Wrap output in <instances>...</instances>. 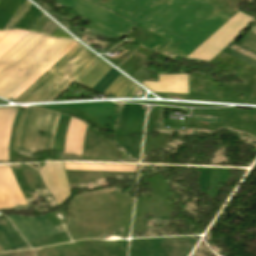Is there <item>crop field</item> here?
Here are the masks:
<instances>
[{"label": "crop field", "instance_id": "crop-field-1", "mask_svg": "<svg viewBox=\"0 0 256 256\" xmlns=\"http://www.w3.org/2000/svg\"><path fill=\"white\" fill-rule=\"evenodd\" d=\"M72 42L30 32L0 59V97L8 99Z\"/></svg>", "mask_w": 256, "mask_h": 256}, {"label": "crop field", "instance_id": "crop-field-2", "mask_svg": "<svg viewBox=\"0 0 256 256\" xmlns=\"http://www.w3.org/2000/svg\"><path fill=\"white\" fill-rule=\"evenodd\" d=\"M96 58L78 44L14 101L26 103L54 100Z\"/></svg>", "mask_w": 256, "mask_h": 256}, {"label": "crop field", "instance_id": "crop-field-3", "mask_svg": "<svg viewBox=\"0 0 256 256\" xmlns=\"http://www.w3.org/2000/svg\"><path fill=\"white\" fill-rule=\"evenodd\" d=\"M59 113L42 108H27L22 111L15 130L13 148L35 152L52 149L53 137ZM45 131L40 138L39 132Z\"/></svg>", "mask_w": 256, "mask_h": 256}, {"label": "crop field", "instance_id": "crop-field-4", "mask_svg": "<svg viewBox=\"0 0 256 256\" xmlns=\"http://www.w3.org/2000/svg\"><path fill=\"white\" fill-rule=\"evenodd\" d=\"M251 20L252 18L239 12L187 58L210 61L220 53Z\"/></svg>", "mask_w": 256, "mask_h": 256}, {"label": "crop field", "instance_id": "crop-field-5", "mask_svg": "<svg viewBox=\"0 0 256 256\" xmlns=\"http://www.w3.org/2000/svg\"><path fill=\"white\" fill-rule=\"evenodd\" d=\"M39 173L58 205L68 198L70 191L61 163H45Z\"/></svg>", "mask_w": 256, "mask_h": 256}, {"label": "crop field", "instance_id": "crop-field-6", "mask_svg": "<svg viewBox=\"0 0 256 256\" xmlns=\"http://www.w3.org/2000/svg\"><path fill=\"white\" fill-rule=\"evenodd\" d=\"M27 205L11 172L10 166H0V208Z\"/></svg>", "mask_w": 256, "mask_h": 256}, {"label": "crop field", "instance_id": "crop-field-7", "mask_svg": "<svg viewBox=\"0 0 256 256\" xmlns=\"http://www.w3.org/2000/svg\"><path fill=\"white\" fill-rule=\"evenodd\" d=\"M152 92L188 94L187 75H159V82H142Z\"/></svg>", "mask_w": 256, "mask_h": 256}, {"label": "crop field", "instance_id": "crop-field-8", "mask_svg": "<svg viewBox=\"0 0 256 256\" xmlns=\"http://www.w3.org/2000/svg\"><path fill=\"white\" fill-rule=\"evenodd\" d=\"M17 107L0 108V162L8 161V144Z\"/></svg>", "mask_w": 256, "mask_h": 256}, {"label": "crop field", "instance_id": "crop-field-9", "mask_svg": "<svg viewBox=\"0 0 256 256\" xmlns=\"http://www.w3.org/2000/svg\"><path fill=\"white\" fill-rule=\"evenodd\" d=\"M110 69L111 67L97 58L76 82L92 88Z\"/></svg>", "mask_w": 256, "mask_h": 256}, {"label": "crop field", "instance_id": "crop-field-10", "mask_svg": "<svg viewBox=\"0 0 256 256\" xmlns=\"http://www.w3.org/2000/svg\"><path fill=\"white\" fill-rule=\"evenodd\" d=\"M139 87L120 75L104 92L107 94L109 92L115 93L116 97H131Z\"/></svg>", "mask_w": 256, "mask_h": 256}, {"label": "crop field", "instance_id": "crop-field-11", "mask_svg": "<svg viewBox=\"0 0 256 256\" xmlns=\"http://www.w3.org/2000/svg\"><path fill=\"white\" fill-rule=\"evenodd\" d=\"M119 74L112 68L92 89L102 93Z\"/></svg>", "mask_w": 256, "mask_h": 256}, {"label": "crop field", "instance_id": "crop-field-12", "mask_svg": "<svg viewBox=\"0 0 256 256\" xmlns=\"http://www.w3.org/2000/svg\"><path fill=\"white\" fill-rule=\"evenodd\" d=\"M31 5L32 4L26 0V2L17 10V12L14 14V16L11 18V20L8 22L4 29L15 28V26L28 11Z\"/></svg>", "mask_w": 256, "mask_h": 256}, {"label": "crop field", "instance_id": "crop-field-13", "mask_svg": "<svg viewBox=\"0 0 256 256\" xmlns=\"http://www.w3.org/2000/svg\"><path fill=\"white\" fill-rule=\"evenodd\" d=\"M0 102H3V101H0Z\"/></svg>", "mask_w": 256, "mask_h": 256}]
</instances>
